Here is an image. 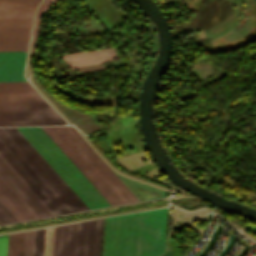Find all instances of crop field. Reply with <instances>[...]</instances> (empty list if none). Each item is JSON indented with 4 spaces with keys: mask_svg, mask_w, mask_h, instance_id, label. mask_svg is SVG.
Segmentation results:
<instances>
[{
    "mask_svg": "<svg viewBox=\"0 0 256 256\" xmlns=\"http://www.w3.org/2000/svg\"><path fill=\"white\" fill-rule=\"evenodd\" d=\"M41 128L111 206L139 201L72 126ZM41 128L17 129L90 209L110 206Z\"/></svg>",
    "mask_w": 256,
    "mask_h": 256,
    "instance_id": "1",
    "label": "crop field"
},
{
    "mask_svg": "<svg viewBox=\"0 0 256 256\" xmlns=\"http://www.w3.org/2000/svg\"><path fill=\"white\" fill-rule=\"evenodd\" d=\"M0 155L54 215L89 209L16 128H0Z\"/></svg>",
    "mask_w": 256,
    "mask_h": 256,
    "instance_id": "2",
    "label": "crop field"
},
{
    "mask_svg": "<svg viewBox=\"0 0 256 256\" xmlns=\"http://www.w3.org/2000/svg\"><path fill=\"white\" fill-rule=\"evenodd\" d=\"M166 209L106 218L102 256L163 253Z\"/></svg>",
    "mask_w": 256,
    "mask_h": 256,
    "instance_id": "3",
    "label": "crop field"
},
{
    "mask_svg": "<svg viewBox=\"0 0 256 256\" xmlns=\"http://www.w3.org/2000/svg\"><path fill=\"white\" fill-rule=\"evenodd\" d=\"M55 112L28 82H0V114ZM66 124L57 113L0 115V126Z\"/></svg>",
    "mask_w": 256,
    "mask_h": 256,
    "instance_id": "4",
    "label": "crop field"
},
{
    "mask_svg": "<svg viewBox=\"0 0 256 256\" xmlns=\"http://www.w3.org/2000/svg\"><path fill=\"white\" fill-rule=\"evenodd\" d=\"M0 174L36 213L39 218L52 216L50 210L32 192L24 181L0 156ZM0 175V202L13 215L17 221L38 218L19 195ZM0 203V224L15 222L16 220Z\"/></svg>",
    "mask_w": 256,
    "mask_h": 256,
    "instance_id": "5",
    "label": "crop field"
},
{
    "mask_svg": "<svg viewBox=\"0 0 256 256\" xmlns=\"http://www.w3.org/2000/svg\"><path fill=\"white\" fill-rule=\"evenodd\" d=\"M33 18H0V51L26 50ZM26 51L0 52V81H26Z\"/></svg>",
    "mask_w": 256,
    "mask_h": 256,
    "instance_id": "6",
    "label": "crop field"
},
{
    "mask_svg": "<svg viewBox=\"0 0 256 256\" xmlns=\"http://www.w3.org/2000/svg\"><path fill=\"white\" fill-rule=\"evenodd\" d=\"M101 224H102V218L96 220V225H95V220L85 221L80 223L77 256L92 255L94 225H95V235H94V245H93V256H98Z\"/></svg>",
    "mask_w": 256,
    "mask_h": 256,
    "instance_id": "7",
    "label": "crop field"
},
{
    "mask_svg": "<svg viewBox=\"0 0 256 256\" xmlns=\"http://www.w3.org/2000/svg\"><path fill=\"white\" fill-rule=\"evenodd\" d=\"M77 228H78V223L58 226L56 227V232L54 227L55 244H54V232H53L51 256H53V244H54V256H75Z\"/></svg>",
    "mask_w": 256,
    "mask_h": 256,
    "instance_id": "8",
    "label": "crop field"
},
{
    "mask_svg": "<svg viewBox=\"0 0 256 256\" xmlns=\"http://www.w3.org/2000/svg\"><path fill=\"white\" fill-rule=\"evenodd\" d=\"M62 58L74 68L98 64L105 60L119 59L113 48L64 54Z\"/></svg>",
    "mask_w": 256,
    "mask_h": 256,
    "instance_id": "9",
    "label": "crop field"
},
{
    "mask_svg": "<svg viewBox=\"0 0 256 256\" xmlns=\"http://www.w3.org/2000/svg\"><path fill=\"white\" fill-rule=\"evenodd\" d=\"M39 1L0 2V17H33Z\"/></svg>",
    "mask_w": 256,
    "mask_h": 256,
    "instance_id": "10",
    "label": "crop field"
},
{
    "mask_svg": "<svg viewBox=\"0 0 256 256\" xmlns=\"http://www.w3.org/2000/svg\"><path fill=\"white\" fill-rule=\"evenodd\" d=\"M24 236L25 232L9 235L7 256H22Z\"/></svg>",
    "mask_w": 256,
    "mask_h": 256,
    "instance_id": "11",
    "label": "crop field"
},
{
    "mask_svg": "<svg viewBox=\"0 0 256 256\" xmlns=\"http://www.w3.org/2000/svg\"><path fill=\"white\" fill-rule=\"evenodd\" d=\"M55 0H43L42 3L40 4V6L37 9L36 12V16H35V21H34V26H33V31H32V35L34 36V40H33V47H32V53H31V57L33 55L34 52V44H35V39H36V35H37V31H38V24H39V18L40 15L50 7V5L54 2ZM31 61V59H30ZM29 72H30V63H29Z\"/></svg>",
    "mask_w": 256,
    "mask_h": 256,
    "instance_id": "12",
    "label": "crop field"
},
{
    "mask_svg": "<svg viewBox=\"0 0 256 256\" xmlns=\"http://www.w3.org/2000/svg\"><path fill=\"white\" fill-rule=\"evenodd\" d=\"M45 228L36 230L34 256H42Z\"/></svg>",
    "mask_w": 256,
    "mask_h": 256,
    "instance_id": "13",
    "label": "crop field"
},
{
    "mask_svg": "<svg viewBox=\"0 0 256 256\" xmlns=\"http://www.w3.org/2000/svg\"><path fill=\"white\" fill-rule=\"evenodd\" d=\"M35 230L26 232L23 256H33Z\"/></svg>",
    "mask_w": 256,
    "mask_h": 256,
    "instance_id": "14",
    "label": "crop field"
},
{
    "mask_svg": "<svg viewBox=\"0 0 256 256\" xmlns=\"http://www.w3.org/2000/svg\"><path fill=\"white\" fill-rule=\"evenodd\" d=\"M8 235L0 236V256H6Z\"/></svg>",
    "mask_w": 256,
    "mask_h": 256,
    "instance_id": "15",
    "label": "crop field"
},
{
    "mask_svg": "<svg viewBox=\"0 0 256 256\" xmlns=\"http://www.w3.org/2000/svg\"><path fill=\"white\" fill-rule=\"evenodd\" d=\"M51 242H52V237H45L44 255L43 256H50Z\"/></svg>",
    "mask_w": 256,
    "mask_h": 256,
    "instance_id": "16",
    "label": "crop field"
},
{
    "mask_svg": "<svg viewBox=\"0 0 256 256\" xmlns=\"http://www.w3.org/2000/svg\"><path fill=\"white\" fill-rule=\"evenodd\" d=\"M0 1H22V0H0Z\"/></svg>",
    "mask_w": 256,
    "mask_h": 256,
    "instance_id": "17",
    "label": "crop field"
}]
</instances>
